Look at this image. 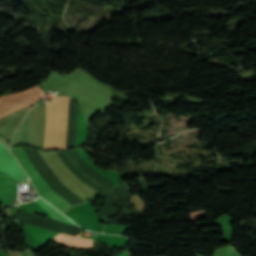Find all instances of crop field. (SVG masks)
<instances>
[{"label":"crop field","mask_w":256,"mask_h":256,"mask_svg":"<svg viewBox=\"0 0 256 256\" xmlns=\"http://www.w3.org/2000/svg\"><path fill=\"white\" fill-rule=\"evenodd\" d=\"M53 240L68 248H86L92 247V241L88 239L76 238L64 234H57Z\"/></svg>","instance_id":"412701ff"},{"label":"crop field","mask_w":256,"mask_h":256,"mask_svg":"<svg viewBox=\"0 0 256 256\" xmlns=\"http://www.w3.org/2000/svg\"><path fill=\"white\" fill-rule=\"evenodd\" d=\"M74 147L70 98L47 104L46 136L43 149Z\"/></svg>","instance_id":"8a807250"},{"label":"crop field","mask_w":256,"mask_h":256,"mask_svg":"<svg viewBox=\"0 0 256 256\" xmlns=\"http://www.w3.org/2000/svg\"><path fill=\"white\" fill-rule=\"evenodd\" d=\"M41 97L43 92L38 87L0 97V120L33 104Z\"/></svg>","instance_id":"34b2d1b8"},{"label":"crop field","mask_w":256,"mask_h":256,"mask_svg":"<svg viewBox=\"0 0 256 256\" xmlns=\"http://www.w3.org/2000/svg\"><path fill=\"white\" fill-rule=\"evenodd\" d=\"M11 151L14 153V155L17 157L19 162L27 171L38 194L41 197L46 199L51 205H53L55 208H57L61 212L73 206L69 204L67 201H65L58 194L52 191V189L48 186L45 180L39 175L35 167L30 163L23 148H12Z\"/></svg>","instance_id":"ac0d7876"}]
</instances>
